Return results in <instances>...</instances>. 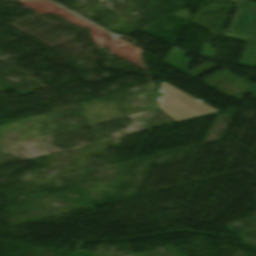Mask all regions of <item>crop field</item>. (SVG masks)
Listing matches in <instances>:
<instances>
[{
  "label": "crop field",
  "mask_w": 256,
  "mask_h": 256,
  "mask_svg": "<svg viewBox=\"0 0 256 256\" xmlns=\"http://www.w3.org/2000/svg\"><path fill=\"white\" fill-rule=\"evenodd\" d=\"M214 51H215V49L214 48H210L208 43L206 42L201 54L211 57V56H213Z\"/></svg>",
  "instance_id": "e52e79f7"
},
{
  "label": "crop field",
  "mask_w": 256,
  "mask_h": 256,
  "mask_svg": "<svg viewBox=\"0 0 256 256\" xmlns=\"http://www.w3.org/2000/svg\"><path fill=\"white\" fill-rule=\"evenodd\" d=\"M224 37L248 42L238 64L252 67L256 66V38L230 32H227Z\"/></svg>",
  "instance_id": "412701ff"
},
{
  "label": "crop field",
  "mask_w": 256,
  "mask_h": 256,
  "mask_svg": "<svg viewBox=\"0 0 256 256\" xmlns=\"http://www.w3.org/2000/svg\"><path fill=\"white\" fill-rule=\"evenodd\" d=\"M185 55L186 53L176 48H171L165 62L171 64L183 72H187L193 60L184 58Z\"/></svg>",
  "instance_id": "f4fd0767"
},
{
  "label": "crop field",
  "mask_w": 256,
  "mask_h": 256,
  "mask_svg": "<svg viewBox=\"0 0 256 256\" xmlns=\"http://www.w3.org/2000/svg\"><path fill=\"white\" fill-rule=\"evenodd\" d=\"M202 80L204 82L199 81L239 100L249 85L248 80L234 76L224 70L221 72L217 71Z\"/></svg>",
  "instance_id": "ac0d7876"
},
{
  "label": "crop field",
  "mask_w": 256,
  "mask_h": 256,
  "mask_svg": "<svg viewBox=\"0 0 256 256\" xmlns=\"http://www.w3.org/2000/svg\"><path fill=\"white\" fill-rule=\"evenodd\" d=\"M214 67H216V66H214L212 64L205 63V64H203V65H201V66H199V67H197V68L187 72L186 74H188V75H190V76L195 78V77L205 73L206 71H208V70H210V69H212Z\"/></svg>",
  "instance_id": "dd49c442"
},
{
  "label": "crop field",
  "mask_w": 256,
  "mask_h": 256,
  "mask_svg": "<svg viewBox=\"0 0 256 256\" xmlns=\"http://www.w3.org/2000/svg\"><path fill=\"white\" fill-rule=\"evenodd\" d=\"M228 31L256 37V16L238 9Z\"/></svg>",
  "instance_id": "34b2d1b8"
},
{
  "label": "crop field",
  "mask_w": 256,
  "mask_h": 256,
  "mask_svg": "<svg viewBox=\"0 0 256 256\" xmlns=\"http://www.w3.org/2000/svg\"><path fill=\"white\" fill-rule=\"evenodd\" d=\"M160 90V108L177 122L219 112L165 82H161Z\"/></svg>",
  "instance_id": "8a807250"
}]
</instances>
